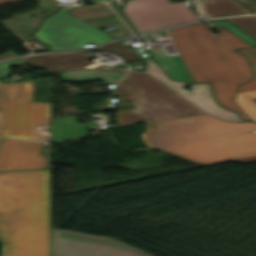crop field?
Instances as JSON below:
<instances>
[{
    "instance_id": "eef30255",
    "label": "crop field",
    "mask_w": 256,
    "mask_h": 256,
    "mask_svg": "<svg viewBox=\"0 0 256 256\" xmlns=\"http://www.w3.org/2000/svg\"><path fill=\"white\" fill-rule=\"evenodd\" d=\"M250 132L256 133V130L255 131H250ZM255 160H256V156L255 157H250V158L239 159V160H233V161L240 162V163H245V162H250V161H255Z\"/></svg>"
},
{
    "instance_id": "5142ce71",
    "label": "crop field",
    "mask_w": 256,
    "mask_h": 256,
    "mask_svg": "<svg viewBox=\"0 0 256 256\" xmlns=\"http://www.w3.org/2000/svg\"><path fill=\"white\" fill-rule=\"evenodd\" d=\"M85 22L99 29L112 27L117 33L111 35L116 37L117 39L131 35V33L117 16L85 20Z\"/></svg>"
},
{
    "instance_id": "ae1a2a85",
    "label": "crop field",
    "mask_w": 256,
    "mask_h": 256,
    "mask_svg": "<svg viewBox=\"0 0 256 256\" xmlns=\"http://www.w3.org/2000/svg\"><path fill=\"white\" fill-rule=\"evenodd\" d=\"M11 56H15V54H14L12 51L9 52V53H7L6 55L1 56V57H0V60H1V59H4V58L11 57Z\"/></svg>"
},
{
    "instance_id": "4a817a6b",
    "label": "crop field",
    "mask_w": 256,
    "mask_h": 256,
    "mask_svg": "<svg viewBox=\"0 0 256 256\" xmlns=\"http://www.w3.org/2000/svg\"><path fill=\"white\" fill-rule=\"evenodd\" d=\"M236 101L256 121V91L238 93Z\"/></svg>"
},
{
    "instance_id": "ac0d7876",
    "label": "crop field",
    "mask_w": 256,
    "mask_h": 256,
    "mask_svg": "<svg viewBox=\"0 0 256 256\" xmlns=\"http://www.w3.org/2000/svg\"><path fill=\"white\" fill-rule=\"evenodd\" d=\"M49 209V170L0 173L2 256H49Z\"/></svg>"
},
{
    "instance_id": "34b2d1b8",
    "label": "crop field",
    "mask_w": 256,
    "mask_h": 256,
    "mask_svg": "<svg viewBox=\"0 0 256 256\" xmlns=\"http://www.w3.org/2000/svg\"><path fill=\"white\" fill-rule=\"evenodd\" d=\"M212 34L201 21L169 29L173 43L194 82L209 81L218 103L228 110L238 111L245 120L250 118L234 103L239 83L253 75L244 56L234 49L250 45L225 29Z\"/></svg>"
},
{
    "instance_id": "dafd665d",
    "label": "crop field",
    "mask_w": 256,
    "mask_h": 256,
    "mask_svg": "<svg viewBox=\"0 0 256 256\" xmlns=\"http://www.w3.org/2000/svg\"><path fill=\"white\" fill-rule=\"evenodd\" d=\"M238 52L249 58L253 72L256 73V48L242 49L238 50Z\"/></svg>"
},
{
    "instance_id": "d8731c3e",
    "label": "crop field",
    "mask_w": 256,
    "mask_h": 256,
    "mask_svg": "<svg viewBox=\"0 0 256 256\" xmlns=\"http://www.w3.org/2000/svg\"><path fill=\"white\" fill-rule=\"evenodd\" d=\"M52 256H149L114 239L52 228Z\"/></svg>"
},
{
    "instance_id": "d3111659",
    "label": "crop field",
    "mask_w": 256,
    "mask_h": 256,
    "mask_svg": "<svg viewBox=\"0 0 256 256\" xmlns=\"http://www.w3.org/2000/svg\"><path fill=\"white\" fill-rule=\"evenodd\" d=\"M123 20H124V22L130 27V29L133 31V33L135 34V32H134V30L132 29V27L128 24V22L124 19V17L121 15L120 16Z\"/></svg>"
},
{
    "instance_id": "a9b5d70f",
    "label": "crop field",
    "mask_w": 256,
    "mask_h": 256,
    "mask_svg": "<svg viewBox=\"0 0 256 256\" xmlns=\"http://www.w3.org/2000/svg\"><path fill=\"white\" fill-rule=\"evenodd\" d=\"M20 94V82L9 83V98H15Z\"/></svg>"
},
{
    "instance_id": "bd1437ed",
    "label": "crop field",
    "mask_w": 256,
    "mask_h": 256,
    "mask_svg": "<svg viewBox=\"0 0 256 256\" xmlns=\"http://www.w3.org/2000/svg\"><path fill=\"white\" fill-rule=\"evenodd\" d=\"M152 48H153V50H155V49H161L162 46H161V45H158V46H154V47H152Z\"/></svg>"
},
{
    "instance_id": "412701ff",
    "label": "crop field",
    "mask_w": 256,
    "mask_h": 256,
    "mask_svg": "<svg viewBox=\"0 0 256 256\" xmlns=\"http://www.w3.org/2000/svg\"><path fill=\"white\" fill-rule=\"evenodd\" d=\"M114 96L126 97L137 107L116 111L118 126L204 113L150 75L127 73Z\"/></svg>"
},
{
    "instance_id": "d1516ede",
    "label": "crop field",
    "mask_w": 256,
    "mask_h": 256,
    "mask_svg": "<svg viewBox=\"0 0 256 256\" xmlns=\"http://www.w3.org/2000/svg\"><path fill=\"white\" fill-rule=\"evenodd\" d=\"M204 18L253 13L236 0H198Z\"/></svg>"
},
{
    "instance_id": "733c2abd",
    "label": "crop field",
    "mask_w": 256,
    "mask_h": 256,
    "mask_svg": "<svg viewBox=\"0 0 256 256\" xmlns=\"http://www.w3.org/2000/svg\"><path fill=\"white\" fill-rule=\"evenodd\" d=\"M95 50L117 55L122 58L124 63L144 60L119 41L104 45Z\"/></svg>"
},
{
    "instance_id": "d9b57169",
    "label": "crop field",
    "mask_w": 256,
    "mask_h": 256,
    "mask_svg": "<svg viewBox=\"0 0 256 256\" xmlns=\"http://www.w3.org/2000/svg\"><path fill=\"white\" fill-rule=\"evenodd\" d=\"M68 13L81 20L114 15L109 7L103 3H97L94 6H82Z\"/></svg>"
},
{
    "instance_id": "3316defc",
    "label": "crop field",
    "mask_w": 256,
    "mask_h": 256,
    "mask_svg": "<svg viewBox=\"0 0 256 256\" xmlns=\"http://www.w3.org/2000/svg\"><path fill=\"white\" fill-rule=\"evenodd\" d=\"M44 143L3 139L0 171L45 168L48 160L39 154Z\"/></svg>"
},
{
    "instance_id": "730fd06b",
    "label": "crop field",
    "mask_w": 256,
    "mask_h": 256,
    "mask_svg": "<svg viewBox=\"0 0 256 256\" xmlns=\"http://www.w3.org/2000/svg\"><path fill=\"white\" fill-rule=\"evenodd\" d=\"M256 12V2L251 0H239ZM245 5V6H246Z\"/></svg>"
},
{
    "instance_id": "00972430",
    "label": "crop field",
    "mask_w": 256,
    "mask_h": 256,
    "mask_svg": "<svg viewBox=\"0 0 256 256\" xmlns=\"http://www.w3.org/2000/svg\"><path fill=\"white\" fill-rule=\"evenodd\" d=\"M254 75L253 79L239 86L238 92L256 90V74Z\"/></svg>"
},
{
    "instance_id": "cbeb9de0",
    "label": "crop field",
    "mask_w": 256,
    "mask_h": 256,
    "mask_svg": "<svg viewBox=\"0 0 256 256\" xmlns=\"http://www.w3.org/2000/svg\"><path fill=\"white\" fill-rule=\"evenodd\" d=\"M124 74L125 73L97 70H79L60 73L63 80L88 81L93 79H103L107 84H116Z\"/></svg>"
},
{
    "instance_id": "dd49c442",
    "label": "crop field",
    "mask_w": 256,
    "mask_h": 256,
    "mask_svg": "<svg viewBox=\"0 0 256 256\" xmlns=\"http://www.w3.org/2000/svg\"><path fill=\"white\" fill-rule=\"evenodd\" d=\"M82 5L63 7L53 16L43 20L35 37L51 46V50H71L82 47L84 44H101L114 40L108 34L69 15L70 11Z\"/></svg>"
},
{
    "instance_id": "8a807250",
    "label": "crop field",
    "mask_w": 256,
    "mask_h": 256,
    "mask_svg": "<svg viewBox=\"0 0 256 256\" xmlns=\"http://www.w3.org/2000/svg\"><path fill=\"white\" fill-rule=\"evenodd\" d=\"M142 134L157 148L209 166L256 155L255 122H225L208 114L146 123Z\"/></svg>"
},
{
    "instance_id": "f4fd0767",
    "label": "crop field",
    "mask_w": 256,
    "mask_h": 256,
    "mask_svg": "<svg viewBox=\"0 0 256 256\" xmlns=\"http://www.w3.org/2000/svg\"><path fill=\"white\" fill-rule=\"evenodd\" d=\"M51 103L33 102V82H21V95L8 99V83L1 84L0 136L47 141L35 126H50Z\"/></svg>"
},
{
    "instance_id": "bc2a9ffb",
    "label": "crop field",
    "mask_w": 256,
    "mask_h": 256,
    "mask_svg": "<svg viewBox=\"0 0 256 256\" xmlns=\"http://www.w3.org/2000/svg\"><path fill=\"white\" fill-rule=\"evenodd\" d=\"M228 20L256 39V16L228 18Z\"/></svg>"
},
{
    "instance_id": "750c4746",
    "label": "crop field",
    "mask_w": 256,
    "mask_h": 256,
    "mask_svg": "<svg viewBox=\"0 0 256 256\" xmlns=\"http://www.w3.org/2000/svg\"><path fill=\"white\" fill-rule=\"evenodd\" d=\"M113 9H114V11L117 13V14H119L120 12L113 6V4H109Z\"/></svg>"
},
{
    "instance_id": "22f410ed",
    "label": "crop field",
    "mask_w": 256,
    "mask_h": 256,
    "mask_svg": "<svg viewBox=\"0 0 256 256\" xmlns=\"http://www.w3.org/2000/svg\"><path fill=\"white\" fill-rule=\"evenodd\" d=\"M85 135V124H79L75 116L51 119V141L72 139Z\"/></svg>"
},
{
    "instance_id": "28ad6ade",
    "label": "crop field",
    "mask_w": 256,
    "mask_h": 256,
    "mask_svg": "<svg viewBox=\"0 0 256 256\" xmlns=\"http://www.w3.org/2000/svg\"><path fill=\"white\" fill-rule=\"evenodd\" d=\"M95 55H85L83 51L57 53V54H40L24 57L32 66H39L48 69L51 72L63 71L76 68H91L101 70L127 71L128 69H112L104 67L106 64H93L87 60Z\"/></svg>"
},
{
    "instance_id": "92a150f3",
    "label": "crop field",
    "mask_w": 256,
    "mask_h": 256,
    "mask_svg": "<svg viewBox=\"0 0 256 256\" xmlns=\"http://www.w3.org/2000/svg\"><path fill=\"white\" fill-rule=\"evenodd\" d=\"M18 64H23V61L20 58L0 62V78H4L10 75V72L8 71L6 66L18 65Z\"/></svg>"
},
{
    "instance_id": "5a996713",
    "label": "crop field",
    "mask_w": 256,
    "mask_h": 256,
    "mask_svg": "<svg viewBox=\"0 0 256 256\" xmlns=\"http://www.w3.org/2000/svg\"><path fill=\"white\" fill-rule=\"evenodd\" d=\"M132 50L140 55L142 58H144L147 61L148 65L146 71L136 73L150 74L154 79H156L157 81H159L160 83H162L163 85H165L166 87H168L169 89H171L172 91H174L175 93H177L178 95L188 100L189 102H191L208 114L214 115L226 121H242L239 119L237 113L226 111L214 102L211 96L209 83H204L201 85H189L171 81L164 74L160 66L150 59L144 47L133 48ZM186 85H189L191 89H184Z\"/></svg>"
},
{
    "instance_id": "4177f3b9",
    "label": "crop field",
    "mask_w": 256,
    "mask_h": 256,
    "mask_svg": "<svg viewBox=\"0 0 256 256\" xmlns=\"http://www.w3.org/2000/svg\"><path fill=\"white\" fill-rule=\"evenodd\" d=\"M146 40H154V39H161V38H168L166 32H160L155 34H150L145 36Z\"/></svg>"
},
{
    "instance_id": "214f88e0",
    "label": "crop field",
    "mask_w": 256,
    "mask_h": 256,
    "mask_svg": "<svg viewBox=\"0 0 256 256\" xmlns=\"http://www.w3.org/2000/svg\"><path fill=\"white\" fill-rule=\"evenodd\" d=\"M207 22L211 23L213 26L222 25L225 28H227L229 31H231L232 33H234L235 35L240 37L245 42L251 44L252 46H256V41L255 40H253L252 38H250L249 36L244 34L242 31H240L239 29H237L236 27H234L233 25H231L229 22H227L224 19L210 20V21H207Z\"/></svg>"
},
{
    "instance_id": "e52e79f7",
    "label": "crop field",
    "mask_w": 256,
    "mask_h": 256,
    "mask_svg": "<svg viewBox=\"0 0 256 256\" xmlns=\"http://www.w3.org/2000/svg\"><path fill=\"white\" fill-rule=\"evenodd\" d=\"M139 34L198 19L188 2L167 0H127L122 10Z\"/></svg>"
}]
</instances>
